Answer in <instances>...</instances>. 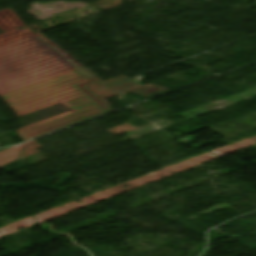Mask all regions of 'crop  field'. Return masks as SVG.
Masks as SVG:
<instances>
[{
  "mask_svg": "<svg viewBox=\"0 0 256 256\" xmlns=\"http://www.w3.org/2000/svg\"><path fill=\"white\" fill-rule=\"evenodd\" d=\"M127 79L124 76L103 82L82 66L30 86L1 95L19 115L58 103L57 100L83 94ZM82 84V88L78 85Z\"/></svg>",
  "mask_w": 256,
  "mask_h": 256,
  "instance_id": "obj_1",
  "label": "crop field"
},
{
  "mask_svg": "<svg viewBox=\"0 0 256 256\" xmlns=\"http://www.w3.org/2000/svg\"><path fill=\"white\" fill-rule=\"evenodd\" d=\"M60 103L64 104L65 106L69 107L70 109L76 111L81 108L87 107L92 105L86 98H84L81 94L72 96L66 99L59 100Z\"/></svg>",
  "mask_w": 256,
  "mask_h": 256,
  "instance_id": "obj_3",
  "label": "crop field"
},
{
  "mask_svg": "<svg viewBox=\"0 0 256 256\" xmlns=\"http://www.w3.org/2000/svg\"><path fill=\"white\" fill-rule=\"evenodd\" d=\"M137 79L131 80L127 79L104 88L83 94L89 101L94 105L87 108L76 111L70 115L19 131V136L24 140H29L34 137L49 133L51 131L66 127L68 125L86 120L88 118L103 114L105 112L111 111L107 104L102 100L104 98L117 95L120 92H130L137 90L144 86L137 84V86L129 87L130 84L137 82Z\"/></svg>",
  "mask_w": 256,
  "mask_h": 256,
  "instance_id": "obj_2",
  "label": "crop field"
},
{
  "mask_svg": "<svg viewBox=\"0 0 256 256\" xmlns=\"http://www.w3.org/2000/svg\"><path fill=\"white\" fill-rule=\"evenodd\" d=\"M153 88H157L158 90L154 91V92H151V93H147V94L142 93V92H144L146 90L153 89ZM165 90H168V89L165 88V87H162V86H158V85H151V86H147V87H144L142 89H139L137 91H133L132 93L139 94V95H141L143 97H149V96H152L154 94H157V93L165 91Z\"/></svg>",
  "mask_w": 256,
  "mask_h": 256,
  "instance_id": "obj_4",
  "label": "crop field"
}]
</instances>
